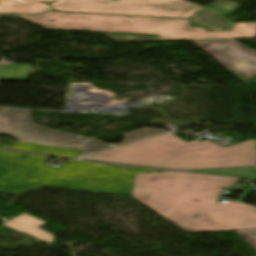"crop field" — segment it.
Returning <instances> with one entry per match:
<instances>
[{"instance_id": "d1516ede", "label": "crop field", "mask_w": 256, "mask_h": 256, "mask_svg": "<svg viewBox=\"0 0 256 256\" xmlns=\"http://www.w3.org/2000/svg\"><path fill=\"white\" fill-rule=\"evenodd\" d=\"M187 172L236 176V177H244V178H256V166L222 168V169H207V170H193V171H187Z\"/></svg>"}, {"instance_id": "f4fd0767", "label": "crop field", "mask_w": 256, "mask_h": 256, "mask_svg": "<svg viewBox=\"0 0 256 256\" xmlns=\"http://www.w3.org/2000/svg\"><path fill=\"white\" fill-rule=\"evenodd\" d=\"M0 135L21 142L84 150L77 158L111 149L100 140L34 125L29 111L0 109Z\"/></svg>"}, {"instance_id": "3316defc", "label": "crop field", "mask_w": 256, "mask_h": 256, "mask_svg": "<svg viewBox=\"0 0 256 256\" xmlns=\"http://www.w3.org/2000/svg\"><path fill=\"white\" fill-rule=\"evenodd\" d=\"M0 146L6 149H11V150L43 153V154L65 156V157H72V158H76L82 152L80 150L57 148V147L35 145V144H28V143H21V142H15L12 146H6L1 144Z\"/></svg>"}, {"instance_id": "cbeb9de0", "label": "crop field", "mask_w": 256, "mask_h": 256, "mask_svg": "<svg viewBox=\"0 0 256 256\" xmlns=\"http://www.w3.org/2000/svg\"><path fill=\"white\" fill-rule=\"evenodd\" d=\"M236 233L256 250V229L238 230Z\"/></svg>"}, {"instance_id": "412701ff", "label": "crop field", "mask_w": 256, "mask_h": 256, "mask_svg": "<svg viewBox=\"0 0 256 256\" xmlns=\"http://www.w3.org/2000/svg\"><path fill=\"white\" fill-rule=\"evenodd\" d=\"M45 28L158 35L162 41L256 38V23L235 24L233 31L191 28L188 19L60 13L17 15Z\"/></svg>"}, {"instance_id": "dd49c442", "label": "crop field", "mask_w": 256, "mask_h": 256, "mask_svg": "<svg viewBox=\"0 0 256 256\" xmlns=\"http://www.w3.org/2000/svg\"><path fill=\"white\" fill-rule=\"evenodd\" d=\"M48 1V0H36ZM63 12L107 13L189 18L203 7L182 0H58L50 4Z\"/></svg>"}, {"instance_id": "d8731c3e", "label": "crop field", "mask_w": 256, "mask_h": 256, "mask_svg": "<svg viewBox=\"0 0 256 256\" xmlns=\"http://www.w3.org/2000/svg\"><path fill=\"white\" fill-rule=\"evenodd\" d=\"M45 224L47 223L39 221L24 213L19 217L5 223L4 225L11 227L17 231L31 234L39 239L46 241L47 243H51L53 242V235L38 229V227Z\"/></svg>"}, {"instance_id": "5142ce71", "label": "crop field", "mask_w": 256, "mask_h": 256, "mask_svg": "<svg viewBox=\"0 0 256 256\" xmlns=\"http://www.w3.org/2000/svg\"><path fill=\"white\" fill-rule=\"evenodd\" d=\"M235 190H241V191H245L238 199L237 201H241L243 202L245 200V198L250 194L251 190H247V189H240V188H234Z\"/></svg>"}, {"instance_id": "28ad6ade", "label": "crop field", "mask_w": 256, "mask_h": 256, "mask_svg": "<svg viewBox=\"0 0 256 256\" xmlns=\"http://www.w3.org/2000/svg\"><path fill=\"white\" fill-rule=\"evenodd\" d=\"M31 65L25 64H2L0 80H27Z\"/></svg>"}, {"instance_id": "8a807250", "label": "crop field", "mask_w": 256, "mask_h": 256, "mask_svg": "<svg viewBox=\"0 0 256 256\" xmlns=\"http://www.w3.org/2000/svg\"><path fill=\"white\" fill-rule=\"evenodd\" d=\"M233 178L160 172L135 175L132 197L191 233L256 228V207L216 202Z\"/></svg>"}, {"instance_id": "e52e79f7", "label": "crop field", "mask_w": 256, "mask_h": 256, "mask_svg": "<svg viewBox=\"0 0 256 256\" xmlns=\"http://www.w3.org/2000/svg\"><path fill=\"white\" fill-rule=\"evenodd\" d=\"M223 66L251 77L256 74V50H251L236 41L192 42Z\"/></svg>"}, {"instance_id": "34b2d1b8", "label": "crop field", "mask_w": 256, "mask_h": 256, "mask_svg": "<svg viewBox=\"0 0 256 256\" xmlns=\"http://www.w3.org/2000/svg\"><path fill=\"white\" fill-rule=\"evenodd\" d=\"M85 160L144 167L193 170L256 165V143L219 147L206 140L184 142L172 134L154 137Z\"/></svg>"}, {"instance_id": "5a996713", "label": "crop field", "mask_w": 256, "mask_h": 256, "mask_svg": "<svg viewBox=\"0 0 256 256\" xmlns=\"http://www.w3.org/2000/svg\"><path fill=\"white\" fill-rule=\"evenodd\" d=\"M50 10L51 9L45 4L29 0H0V13L35 14Z\"/></svg>"}, {"instance_id": "ac0d7876", "label": "crop field", "mask_w": 256, "mask_h": 256, "mask_svg": "<svg viewBox=\"0 0 256 256\" xmlns=\"http://www.w3.org/2000/svg\"><path fill=\"white\" fill-rule=\"evenodd\" d=\"M48 157L0 151V193H22L43 186L131 196L134 174L160 172L67 160L57 170Z\"/></svg>"}, {"instance_id": "22f410ed", "label": "crop field", "mask_w": 256, "mask_h": 256, "mask_svg": "<svg viewBox=\"0 0 256 256\" xmlns=\"http://www.w3.org/2000/svg\"><path fill=\"white\" fill-rule=\"evenodd\" d=\"M161 133H165V132L161 130H155V129H149V128L130 131L125 133L124 140L122 143L116 144L114 146L118 147L124 144H128V143H131L140 139H144L153 135L161 134Z\"/></svg>"}]
</instances>
